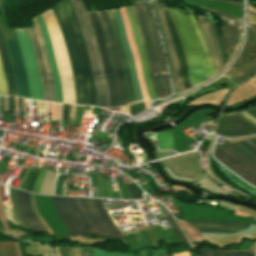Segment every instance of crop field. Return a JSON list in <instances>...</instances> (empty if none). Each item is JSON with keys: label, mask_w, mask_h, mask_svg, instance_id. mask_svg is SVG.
<instances>
[{"label": "crop field", "mask_w": 256, "mask_h": 256, "mask_svg": "<svg viewBox=\"0 0 256 256\" xmlns=\"http://www.w3.org/2000/svg\"><path fill=\"white\" fill-rule=\"evenodd\" d=\"M71 235L103 236L124 242L100 199L51 196Z\"/></svg>", "instance_id": "obj_1"}, {"label": "crop field", "mask_w": 256, "mask_h": 256, "mask_svg": "<svg viewBox=\"0 0 256 256\" xmlns=\"http://www.w3.org/2000/svg\"><path fill=\"white\" fill-rule=\"evenodd\" d=\"M53 10L61 26L71 61L77 104L96 105L88 54L72 5L69 0L59 1Z\"/></svg>", "instance_id": "obj_2"}, {"label": "crop field", "mask_w": 256, "mask_h": 256, "mask_svg": "<svg viewBox=\"0 0 256 256\" xmlns=\"http://www.w3.org/2000/svg\"><path fill=\"white\" fill-rule=\"evenodd\" d=\"M142 28L147 46L151 67L160 98L168 97L171 89L168 81L165 56L161 39L156 27V21L149 7L148 1L133 2Z\"/></svg>", "instance_id": "obj_3"}, {"label": "crop field", "mask_w": 256, "mask_h": 256, "mask_svg": "<svg viewBox=\"0 0 256 256\" xmlns=\"http://www.w3.org/2000/svg\"><path fill=\"white\" fill-rule=\"evenodd\" d=\"M168 8L176 23L179 37L188 62V74L191 82L193 86L198 85L209 79V73L197 34L186 13L172 7Z\"/></svg>", "instance_id": "obj_4"}, {"label": "crop field", "mask_w": 256, "mask_h": 256, "mask_svg": "<svg viewBox=\"0 0 256 256\" xmlns=\"http://www.w3.org/2000/svg\"><path fill=\"white\" fill-rule=\"evenodd\" d=\"M70 1L78 17L80 28L86 42L94 79L97 106L109 107L108 87L92 24L89 20L83 2L77 0Z\"/></svg>", "instance_id": "obj_5"}, {"label": "crop field", "mask_w": 256, "mask_h": 256, "mask_svg": "<svg viewBox=\"0 0 256 256\" xmlns=\"http://www.w3.org/2000/svg\"><path fill=\"white\" fill-rule=\"evenodd\" d=\"M113 11H114L115 19H116V22H117L118 30H119V33H120L121 41H122V44H123L124 52H125V55H126V59H127L128 67H129V70H130L131 78H132V81H133L134 89H135V92H136L137 100L140 101L143 98H142V94H141L140 87H139L138 80H137V74H136V68H135L134 60H133V57H132V54H131V51H130V48H129V45H128V42H127V39H126V36H125L121 15H120V12H119L118 9H115ZM113 11L109 10V11H107V13H108L109 19L112 23V27H113V30H114L115 38H116V41H117V45H118L120 56H121L122 63H123L124 74H125L126 80H127L129 100H130V103H132V102H136L137 100H136L135 92H134V89H133L132 81H131V78H130L129 70H128V67H127L126 59H125V56H124L122 44H121V41H120L117 26H116V22H115V19H114Z\"/></svg>", "instance_id": "obj_6"}, {"label": "crop field", "mask_w": 256, "mask_h": 256, "mask_svg": "<svg viewBox=\"0 0 256 256\" xmlns=\"http://www.w3.org/2000/svg\"><path fill=\"white\" fill-rule=\"evenodd\" d=\"M30 85V98L43 100V92L39 72L35 60L31 38L26 29H15Z\"/></svg>", "instance_id": "obj_7"}, {"label": "crop field", "mask_w": 256, "mask_h": 256, "mask_svg": "<svg viewBox=\"0 0 256 256\" xmlns=\"http://www.w3.org/2000/svg\"><path fill=\"white\" fill-rule=\"evenodd\" d=\"M88 14L93 23L96 37L99 43L101 55H102V60H103V64L106 72V78L109 86L110 107L119 106L115 75L113 72L112 62H111L109 50L105 41L101 23L96 14V11L88 12Z\"/></svg>", "instance_id": "obj_8"}, {"label": "crop field", "mask_w": 256, "mask_h": 256, "mask_svg": "<svg viewBox=\"0 0 256 256\" xmlns=\"http://www.w3.org/2000/svg\"><path fill=\"white\" fill-rule=\"evenodd\" d=\"M100 18V21L102 23L109 50L111 53L112 61H113V67H114V72L116 74V81L118 85V94H119V102L120 106L124 104H128V95H127V90H126V85H125V80H124V75L116 47V42L115 38L113 35V31L110 25V22L108 20L107 14L105 11L97 12Z\"/></svg>", "instance_id": "obj_9"}, {"label": "crop field", "mask_w": 256, "mask_h": 256, "mask_svg": "<svg viewBox=\"0 0 256 256\" xmlns=\"http://www.w3.org/2000/svg\"><path fill=\"white\" fill-rule=\"evenodd\" d=\"M13 31L15 39H9L6 40L7 47L14 71V76L17 84V90H18V96L20 97H26L29 98V85L26 79L23 60L18 44V40L15 34V31Z\"/></svg>", "instance_id": "obj_10"}, {"label": "crop field", "mask_w": 256, "mask_h": 256, "mask_svg": "<svg viewBox=\"0 0 256 256\" xmlns=\"http://www.w3.org/2000/svg\"><path fill=\"white\" fill-rule=\"evenodd\" d=\"M157 1L163 11V15H164L166 23H167L169 34H170V37H171V40H172V43H173V46H174V49L176 52V56H177V60H178V64H179V77H180L185 89L187 90L189 88H192L193 86H192L190 79L188 77V74H187L188 66H187V62H186V59H185V56L183 53V49H182V46H181V43H180V40H179V37L177 34L174 20L171 16L169 10L166 8L163 0H162L163 6L161 5L159 0H157Z\"/></svg>", "instance_id": "obj_11"}, {"label": "crop field", "mask_w": 256, "mask_h": 256, "mask_svg": "<svg viewBox=\"0 0 256 256\" xmlns=\"http://www.w3.org/2000/svg\"><path fill=\"white\" fill-rule=\"evenodd\" d=\"M187 222L200 232L235 233L249 227V224L216 220H187Z\"/></svg>", "instance_id": "obj_12"}, {"label": "crop field", "mask_w": 256, "mask_h": 256, "mask_svg": "<svg viewBox=\"0 0 256 256\" xmlns=\"http://www.w3.org/2000/svg\"><path fill=\"white\" fill-rule=\"evenodd\" d=\"M222 22L223 26L220 27V30L228 57L230 59L239 41L240 33H242V24L226 18H222Z\"/></svg>", "instance_id": "obj_13"}, {"label": "crop field", "mask_w": 256, "mask_h": 256, "mask_svg": "<svg viewBox=\"0 0 256 256\" xmlns=\"http://www.w3.org/2000/svg\"><path fill=\"white\" fill-rule=\"evenodd\" d=\"M199 25L201 27V30L204 34V37L206 39L209 52L213 61L214 68L216 70V73L219 72L222 67V58H221V51L219 49V46L217 44V41L212 33L210 23L207 19H205L202 16H197Z\"/></svg>", "instance_id": "obj_14"}, {"label": "crop field", "mask_w": 256, "mask_h": 256, "mask_svg": "<svg viewBox=\"0 0 256 256\" xmlns=\"http://www.w3.org/2000/svg\"><path fill=\"white\" fill-rule=\"evenodd\" d=\"M16 200L20 214L32 231H45L33 216L28 205V193L16 189Z\"/></svg>", "instance_id": "obj_15"}, {"label": "crop field", "mask_w": 256, "mask_h": 256, "mask_svg": "<svg viewBox=\"0 0 256 256\" xmlns=\"http://www.w3.org/2000/svg\"><path fill=\"white\" fill-rule=\"evenodd\" d=\"M152 3L154 5V8H155L156 13L158 15V19H159L160 25L162 27L165 42H166V45H167L169 57H170V60L172 62L173 75H174L175 79L177 80V81H174V82H175L179 92L184 91V88H183V86H182V84H181V82L178 78L177 60H176V57H175V54H174V51H173V48H172V44H171V41H170V37H169V34H168V30H167V27H166L165 20L163 18L162 12H161L156 0H153Z\"/></svg>", "instance_id": "obj_16"}, {"label": "crop field", "mask_w": 256, "mask_h": 256, "mask_svg": "<svg viewBox=\"0 0 256 256\" xmlns=\"http://www.w3.org/2000/svg\"><path fill=\"white\" fill-rule=\"evenodd\" d=\"M4 39L5 38L0 27V56L3 64L5 77L8 83V92H9V95L17 96L16 84H15V80H14V76H13V72L10 64V59H9V55H8V51H7V47Z\"/></svg>", "instance_id": "obj_17"}, {"label": "crop field", "mask_w": 256, "mask_h": 256, "mask_svg": "<svg viewBox=\"0 0 256 256\" xmlns=\"http://www.w3.org/2000/svg\"><path fill=\"white\" fill-rule=\"evenodd\" d=\"M126 9H127L128 16H129V19H130L131 30H132V33H133V36H134V39H135V42H136V46H137V49H138V53H139V56H140L141 65H142V69H143V73H144L148 93H149L150 98L154 99L156 97H155V93H154L153 87H152L150 79H149L147 63H146V60H145V57H144V53H143V50H142V46H141V42H140V39H139L138 31H137L136 24H135L133 14H132V11H131V7L130 6L126 7Z\"/></svg>", "instance_id": "obj_18"}, {"label": "crop field", "mask_w": 256, "mask_h": 256, "mask_svg": "<svg viewBox=\"0 0 256 256\" xmlns=\"http://www.w3.org/2000/svg\"><path fill=\"white\" fill-rule=\"evenodd\" d=\"M36 18H37V20L40 24L42 34H43V37H44V40H45V43H46V47H47V50H48V54H49V59H50V64H51L53 79H54V84H55V90H56V101L57 102H62L61 86H60V81H59L57 68H56V62H55L52 46H51V43H50L49 35H48L45 23H44L41 15L36 17Z\"/></svg>", "instance_id": "obj_19"}, {"label": "crop field", "mask_w": 256, "mask_h": 256, "mask_svg": "<svg viewBox=\"0 0 256 256\" xmlns=\"http://www.w3.org/2000/svg\"><path fill=\"white\" fill-rule=\"evenodd\" d=\"M216 133L225 136H244L253 134L240 123L228 116L221 118Z\"/></svg>", "instance_id": "obj_20"}, {"label": "crop field", "mask_w": 256, "mask_h": 256, "mask_svg": "<svg viewBox=\"0 0 256 256\" xmlns=\"http://www.w3.org/2000/svg\"><path fill=\"white\" fill-rule=\"evenodd\" d=\"M32 21H33L35 32L37 34L39 47H40L41 55H42L45 70H46V75H47V80H48V85H49V92H50V101L55 102V90H54L51 68H50V64H49V60H48V54L46 51V47H45V44L43 41V37H42L41 31H40L39 24H38L36 18L34 17L32 19Z\"/></svg>", "instance_id": "obj_21"}, {"label": "crop field", "mask_w": 256, "mask_h": 256, "mask_svg": "<svg viewBox=\"0 0 256 256\" xmlns=\"http://www.w3.org/2000/svg\"><path fill=\"white\" fill-rule=\"evenodd\" d=\"M256 53V31L248 27L247 30V42L241 58L234 64V66H241ZM233 66V67H234Z\"/></svg>", "instance_id": "obj_22"}, {"label": "crop field", "mask_w": 256, "mask_h": 256, "mask_svg": "<svg viewBox=\"0 0 256 256\" xmlns=\"http://www.w3.org/2000/svg\"><path fill=\"white\" fill-rule=\"evenodd\" d=\"M225 150H227L229 153H231L236 158L240 159L244 163H246L248 166H250L252 169L256 170V159H254L252 156H250L248 153H246L244 150H242L240 147H238L236 144H228L225 146H221Z\"/></svg>", "instance_id": "obj_23"}, {"label": "crop field", "mask_w": 256, "mask_h": 256, "mask_svg": "<svg viewBox=\"0 0 256 256\" xmlns=\"http://www.w3.org/2000/svg\"><path fill=\"white\" fill-rule=\"evenodd\" d=\"M214 156L224 165H226L228 168L236 172L239 176L245 178L247 181H249L251 184L256 186V177L252 176L248 172L244 171L241 169L239 166H237L235 163L232 161L228 160L224 156H222L220 153L217 151L214 152Z\"/></svg>", "instance_id": "obj_24"}, {"label": "crop field", "mask_w": 256, "mask_h": 256, "mask_svg": "<svg viewBox=\"0 0 256 256\" xmlns=\"http://www.w3.org/2000/svg\"><path fill=\"white\" fill-rule=\"evenodd\" d=\"M56 175V172H46L39 193L53 195Z\"/></svg>", "instance_id": "obj_25"}, {"label": "crop field", "mask_w": 256, "mask_h": 256, "mask_svg": "<svg viewBox=\"0 0 256 256\" xmlns=\"http://www.w3.org/2000/svg\"><path fill=\"white\" fill-rule=\"evenodd\" d=\"M201 256H254L253 251H241V252H221L213 249L204 248L201 249Z\"/></svg>", "instance_id": "obj_26"}, {"label": "crop field", "mask_w": 256, "mask_h": 256, "mask_svg": "<svg viewBox=\"0 0 256 256\" xmlns=\"http://www.w3.org/2000/svg\"><path fill=\"white\" fill-rule=\"evenodd\" d=\"M238 80L241 82L244 80L249 74L256 71V57L250 61L248 64L240 67V68H232Z\"/></svg>", "instance_id": "obj_27"}, {"label": "crop field", "mask_w": 256, "mask_h": 256, "mask_svg": "<svg viewBox=\"0 0 256 256\" xmlns=\"http://www.w3.org/2000/svg\"><path fill=\"white\" fill-rule=\"evenodd\" d=\"M34 195L33 193H29V205L30 208L34 214V216L36 217V219L39 221V223L42 225V227L48 232V234H52L51 229L49 228V226L45 223V221L42 219V217L40 216L38 209L36 207L35 204V199H34Z\"/></svg>", "instance_id": "obj_28"}, {"label": "crop field", "mask_w": 256, "mask_h": 256, "mask_svg": "<svg viewBox=\"0 0 256 256\" xmlns=\"http://www.w3.org/2000/svg\"><path fill=\"white\" fill-rule=\"evenodd\" d=\"M218 152H220L222 155H224L225 157L229 158L230 160H232L233 162H235L237 165H239L241 168H243L244 170L248 171L249 173H251L252 175L256 176V171L252 170L251 168H249L247 165H245L243 162L239 161L238 159H236L235 157H233L231 154H229L227 151H225L224 149L220 148L219 146L216 147V149Z\"/></svg>", "instance_id": "obj_29"}, {"label": "crop field", "mask_w": 256, "mask_h": 256, "mask_svg": "<svg viewBox=\"0 0 256 256\" xmlns=\"http://www.w3.org/2000/svg\"><path fill=\"white\" fill-rule=\"evenodd\" d=\"M131 7H132V11H133V14H134V17H135V21H136V24H137V28H138V31H139V35H140V39H141L142 46H143V49H144L145 57H146V60H147V63H148L150 79H151V82L153 84V87H154V90H155V93H156V97L158 98L157 89H156V86H155V83H154V80H153V75H152V72H151V68H150V64H149V59H148L147 51H146L145 44H144V41H143L142 33H141V30H140V27H139L138 19H137L134 7L133 6H131Z\"/></svg>", "instance_id": "obj_30"}, {"label": "crop field", "mask_w": 256, "mask_h": 256, "mask_svg": "<svg viewBox=\"0 0 256 256\" xmlns=\"http://www.w3.org/2000/svg\"><path fill=\"white\" fill-rule=\"evenodd\" d=\"M0 256H17L13 242H0Z\"/></svg>", "instance_id": "obj_31"}, {"label": "crop field", "mask_w": 256, "mask_h": 256, "mask_svg": "<svg viewBox=\"0 0 256 256\" xmlns=\"http://www.w3.org/2000/svg\"><path fill=\"white\" fill-rule=\"evenodd\" d=\"M212 25V29H213V32L215 34V37L218 41V44L220 46V49L222 51V57H223V66L225 64V61L227 62L228 61V58H227V54H226V51H225V48H224V45H223V42H222V39H221V36L218 32V29H217V25L216 24H211Z\"/></svg>", "instance_id": "obj_32"}, {"label": "crop field", "mask_w": 256, "mask_h": 256, "mask_svg": "<svg viewBox=\"0 0 256 256\" xmlns=\"http://www.w3.org/2000/svg\"><path fill=\"white\" fill-rule=\"evenodd\" d=\"M166 218L169 222V224L171 225L173 231L175 232L176 236L178 237V239L180 240V242H186L182 232L180 231L179 227L177 226V224L175 223L174 219L172 218L171 214L166 215Z\"/></svg>", "instance_id": "obj_33"}, {"label": "crop field", "mask_w": 256, "mask_h": 256, "mask_svg": "<svg viewBox=\"0 0 256 256\" xmlns=\"http://www.w3.org/2000/svg\"><path fill=\"white\" fill-rule=\"evenodd\" d=\"M146 110L144 102H138L130 105V114L135 116L136 114Z\"/></svg>", "instance_id": "obj_34"}, {"label": "crop field", "mask_w": 256, "mask_h": 256, "mask_svg": "<svg viewBox=\"0 0 256 256\" xmlns=\"http://www.w3.org/2000/svg\"><path fill=\"white\" fill-rule=\"evenodd\" d=\"M30 29H31V31L34 35V39H35V43H36V47H37L41 67H42V72H43V76H44V80H45V89H46L47 100L49 101V92H48L47 80H46V75H45V71H44V67H43V63H42V59H41V55H40V51H39V47H38V43H37V38H36V35L34 33L33 27H31Z\"/></svg>", "instance_id": "obj_35"}, {"label": "crop field", "mask_w": 256, "mask_h": 256, "mask_svg": "<svg viewBox=\"0 0 256 256\" xmlns=\"http://www.w3.org/2000/svg\"><path fill=\"white\" fill-rule=\"evenodd\" d=\"M0 95H7V86L4 78L1 60H0Z\"/></svg>", "instance_id": "obj_36"}, {"label": "crop field", "mask_w": 256, "mask_h": 256, "mask_svg": "<svg viewBox=\"0 0 256 256\" xmlns=\"http://www.w3.org/2000/svg\"><path fill=\"white\" fill-rule=\"evenodd\" d=\"M39 172H40V170H38V169L34 170L32 176H31V178H30V180L28 182V185H27V187L25 189L26 191H30V192L32 191L33 185H34V183L36 181V178H37Z\"/></svg>", "instance_id": "obj_37"}, {"label": "crop field", "mask_w": 256, "mask_h": 256, "mask_svg": "<svg viewBox=\"0 0 256 256\" xmlns=\"http://www.w3.org/2000/svg\"><path fill=\"white\" fill-rule=\"evenodd\" d=\"M132 199H142L141 194L136 190L133 185H126Z\"/></svg>", "instance_id": "obj_38"}, {"label": "crop field", "mask_w": 256, "mask_h": 256, "mask_svg": "<svg viewBox=\"0 0 256 256\" xmlns=\"http://www.w3.org/2000/svg\"><path fill=\"white\" fill-rule=\"evenodd\" d=\"M229 116L232 117L233 119L237 120V121L240 122L242 125H244V126L247 127L249 130H251L253 133L256 134V128H254V127L251 126L250 124L246 123L245 121H243L241 118H239V117L236 116L235 114L229 115Z\"/></svg>", "instance_id": "obj_39"}, {"label": "crop field", "mask_w": 256, "mask_h": 256, "mask_svg": "<svg viewBox=\"0 0 256 256\" xmlns=\"http://www.w3.org/2000/svg\"><path fill=\"white\" fill-rule=\"evenodd\" d=\"M134 236L137 239L140 247H147L146 241L141 232L134 233Z\"/></svg>", "instance_id": "obj_40"}, {"label": "crop field", "mask_w": 256, "mask_h": 256, "mask_svg": "<svg viewBox=\"0 0 256 256\" xmlns=\"http://www.w3.org/2000/svg\"><path fill=\"white\" fill-rule=\"evenodd\" d=\"M28 31L31 35V38H32V42H33V45H34V49H35V54H36V60H37V64H38V68H39V72H40V76H41V80H42V85H43V91H44V100H46V96H45V89H44V83H43V77H42V72H41V68H40V64H39V60H38V56H37V52H36V48H35V44H34V40H33V37H32V34L30 32V29L28 28Z\"/></svg>", "instance_id": "obj_41"}, {"label": "crop field", "mask_w": 256, "mask_h": 256, "mask_svg": "<svg viewBox=\"0 0 256 256\" xmlns=\"http://www.w3.org/2000/svg\"><path fill=\"white\" fill-rule=\"evenodd\" d=\"M69 112H70V105L64 104L62 122H68Z\"/></svg>", "instance_id": "obj_42"}, {"label": "crop field", "mask_w": 256, "mask_h": 256, "mask_svg": "<svg viewBox=\"0 0 256 256\" xmlns=\"http://www.w3.org/2000/svg\"><path fill=\"white\" fill-rule=\"evenodd\" d=\"M46 171L42 170L41 173H40V176L38 178V181L35 185V188H34V193H38L39 192V188H40V185H41V182H42V179L44 177V174H45Z\"/></svg>", "instance_id": "obj_43"}, {"label": "crop field", "mask_w": 256, "mask_h": 256, "mask_svg": "<svg viewBox=\"0 0 256 256\" xmlns=\"http://www.w3.org/2000/svg\"><path fill=\"white\" fill-rule=\"evenodd\" d=\"M239 143H241L244 147H246L249 151H251L253 154L256 155V150L254 148H252L250 145H248L246 142L242 141Z\"/></svg>", "instance_id": "obj_44"}, {"label": "crop field", "mask_w": 256, "mask_h": 256, "mask_svg": "<svg viewBox=\"0 0 256 256\" xmlns=\"http://www.w3.org/2000/svg\"><path fill=\"white\" fill-rule=\"evenodd\" d=\"M7 164H8L7 161H3V160L1 161V163H0V174H3Z\"/></svg>", "instance_id": "obj_45"}, {"label": "crop field", "mask_w": 256, "mask_h": 256, "mask_svg": "<svg viewBox=\"0 0 256 256\" xmlns=\"http://www.w3.org/2000/svg\"><path fill=\"white\" fill-rule=\"evenodd\" d=\"M241 114H242L245 118L249 119L250 121H252L253 123L256 124V120H255L253 117H251L246 111L241 112Z\"/></svg>", "instance_id": "obj_46"}, {"label": "crop field", "mask_w": 256, "mask_h": 256, "mask_svg": "<svg viewBox=\"0 0 256 256\" xmlns=\"http://www.w3.org/2000/svg\"><path fill=\"white\" fill-rule=\"evenodd\" d=\"M84 256H93V250L89 248H83Z\"/></svg>", "instance_id": "obj_47"}, {"label": "crop field", "mask_w": 256, "mask_h": 256, "mask_svg": "<svg viewBox=\"0 0 256 256\" xmlns=\"http://www.w3.org/2000/svg\"><path fill=\"white\" fill-rule=\"evenodd\" d=\"M105 256H132V255H126V254H120V253H106Z\"/></svg>", "instance_id": "obj_48"}, {"label": "crop field", "mask_w": 256, "mask_h": 256, "mask_svg": "<svg viewBox=\"0 0 256 256\" xmlns=\"http://www.w3.org/2000/svg\"><path fill=\"white\" fill-rule=\"evenodd\" d=\"M75 251L76 253V256H83V251L82 249H79V248H71Z\"/></svg>", "instance_id": "obj_49"}, {"label": "crop field", "mask_w": 256, "mask_h": 256, "mask_svg": "<svg viewBox=\"0 0 256 256\" xmlns=\"http://www.w3.org/2000/svg\"><path fill=\"white\" fill-rule=\"evenodd\" d=\"M12 189H13V188H11V195H12V202H13ZM13 207H14V203H13ZM14 211H15V213H16V215H17V217H18L19 221L21 222L22 226L24 227V229H27V228L25 227V225L22 223V221H21V219H20V217H19L18 213H17V212H16V210H15V207H14ZM27 230H28V229H27Z\"/></svg>", "instance_id": "obj_50"}, {"label": "crop field", "mask_w": 256, "mask_h": 256, "mask_svg": "<svg viewBox=\"0 0 256 256\" xmlns=\"http://www.w3.org/2000/svg\"><path fill=\"white\" fill-rule=\"evenodd\" d=\"M203 9L210 10V9H207V8H204V7H203ZM210 11H213V12H216V13H219V14H222V15H225V16H228V17H231V18H234V19H237V20L241 21V19L237 18V17H233V16H230V15H227V14H223V13H220V12H217V11H214V10H210Z\"/></svg>", "instance_id": "obj_51"}, {"label": "crop field", "mask_w": 256, "mask_h": 256, "mask_svg": "<svg viewBox=\"0 0 256 256\" xmlns=\"http://www.w3.org/2000/svg\"><path fill=\"white\" fill-rule=\"evenodd\" d=\"M94 256H104V252L98 251V250H94Z\"/></svg>", "instance_id": "obj_52"}, {"label": "crop field", "mask_w": 256, "mask_h": 256, "mask_svg": "<svg viewBox=\"0 0 256 256\" xmlns=\"http://www.w3.org/2000/svg\"><path fill=\"white\" fill-rule=\"evenodd\" d=\"M217 1H224V2L236 3V4L242 5V2H236V1H229V0H217Z\"/></svg>", "instance_id": "obj_53"}, {"label": "crop field", "mask_w": 256, "mask_h": 256, "mask_svg": "<svg viewBox=\"0 0 256 256\" xmlns=\"http://www.w3.org/2000/svg\"><path fill=\"white\" fill-rule=\"evenodd\" d=\"M1 101H2V116H4V97H1Z\"/></svg>", "instance_id": "obj_54"}, {"label": "crop field", "mask_w": 256, "mask_h": 256, "mask_svg": "<svg viewBox=\"0 0 256 256\" xmlns=\"http://www.w3.org/2000/svg\"><path fill=\"white\" fill-rule=\"evenodd\" d=\"M238 146H240L242 149H244L245 151H247L249 154H251L252 156H254L256 158L255 155H253L251 152H249L247 149H245L243 146H241L240 144H238L237 142H235Z\"/></svg>", "instance_id": "obj_55"}, {"label": "crop field", "mask_w": 256, "mask_h": 256, "mask_svg": "<svg viewBox=\"0 0 256 256\" xmlns=\"http://www.w3.org/2000/svg\"><path fill=\"white\" fill-rule=\"evenodd\" d=\"M249 141H251L253 144H255V145H256V138L249 139Z\"/></svg>", "instance_id": "obj_56"}, {"label": "crop field", "mask_w": 256, "mask_h": 256, "mask_svg": "<svg viewBox=\"0 0 256 256\" xmlns=\"http://www.w3.org/2000/svg\"><path fill=\"white\" fill-rule=\"evenodd\" d=\"M0 13H5L4 10H3V7L1 5V2H0Z\"/></svg>", "instance_id": "obj_57"}, {"label": "crop field", "mask_w": 256, "mask_h": 256, "mask_svg": "<svg viewBox=\"0 0 256 256\" xmlns=\"http://www.w3.org/2000/svg\"><path fill=\"white\" fill-rule=\"evenodd\" d=\"M68 250H69V256H74V252L70 249H68Z\"/></svg>", "instance_id": "obj_58"}, {"label": "crop field", "mask_w": 256, "mask_h": 256, "mask_svg": "<svg viewBox=\"0 0 256 256\" xmlns=\"http://www.w3.org/2000/svg\"><path fill=\"white\" fill-rule=\"evenodd\" d=\"M21 101H22V99L19 98V109H20V112H21Z\"/></svg>", "instance_id": "obj_59"}, {"label": "crop field", "mask_w": 256, "mask_h": 256, "mask_svg": "<svg viewBox=\"0 0 256 256\" xmlns=\"http://www.w3.org/2000/svg\"><path fill=\"white\" fill-rule=\"evenodd\" d=\"M245 141L256 149V146L253 145L251 142H249L248 140H245Z\"/></svg>", "instance_id": "obj_60"}, {"label": "crop field", "mask_w": 256, "mask_h": 256, "mask_svg": "<svg viewBox=\"0 0 256 256\" xmlns=\"http://www.w3.org/2000/svg\"><path fill=\"white\" fill-rule=\"evenodd\" d=\"M250 111L256 116V110L251 109Z\"/></svg>", "instance_id": "obj_61"}, {"label": "crop field", "mask_w": 256, "mask_h": 256, "mask_svg": "<svg viewBox=\"0 0 256 256\" xmlns=\"http://www.w3.org/2000/svg\"><path fill=\"white\" fill-rule=\"evenodd\" d=\"M166 256H173L172 254H170V255H166Z\"/></svg>", "instance_id": "obj_62"}, {"label": "crop field", "mask_w": 256, "mask_h": 256, "mask_svg": "<svg viewBox=\"0 0 256 256\" xmlns=\"http://www.w3.org/2000/svg\"><path fill=\"white\" fill-rule=\"evenodd\" d=\"M56 256V255H55Z\"/></svg>", "instance_id": "obj_63"}, {"label": "crop field", "mask_w": 256, "mask_h": 256, "mask_svg": "<svg viewBox=\"0 0 256 256\" xmlns=\"http://www.w3.org/2000/svg\"><path fill=\"white\" fill-rule=\"evenodd\" d=\"M165 256V255H164Z\"/></svg>", "instance_id": "obj_64"}]
</instances>
